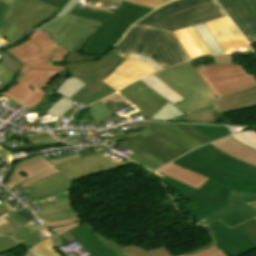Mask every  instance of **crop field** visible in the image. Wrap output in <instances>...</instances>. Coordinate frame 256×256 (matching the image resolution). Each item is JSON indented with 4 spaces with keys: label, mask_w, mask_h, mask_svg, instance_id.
<instances>
[{
    "label": "crop field",
    "mask_w": 256,
    "mask_h": 256,
    "mask_svg": "<svg viewBox=\"0 0 256 256\" xmlns=\"http://www.w3.org/2000/svg\"><path fill=\"white\" fill-rule=\"evenodd\" d=\"M172 163L210 179L195 189L168 176L162 178L193 202L183 207L206 225L215 219L233 227L256 216L246 202L256 200V167L236 160L208 144Z\"/></svg>",
    "instance_id": "obj_1"
},
{
    "label": "crop field",
    "mask_w": 256,
    "mask_h": 256,
    "mask_svg": "<svg viewBox=\"0 0 256 256\" xmlns=\"http://www.w3.org/2000/svg\"><path fill=\"white\" fill-rule=\"evenodd\" d=\"M212 57L215 64L197 67L188 61L155 73L186 99L175 105L186 114L212 107L209 101L213 99L256 87L253 74L233 64L230 54Z\"/></svg>",
    "instance_id": "obj_2"
},
{
    "label": "crop field",
    "mask_w": 256,
    "mask_h": 256,
    "mask_svg": "<svg viewBox=\"0 0 256 256\" xmlns=\"http://www.w3.org/2000/svg\"><path fill=\"white\" fill-rule=\"evenodd\" d=\"M129 163L133 162L125 159L122 163L118 164L100 154L85 157L77 154L50 161L39 155L16 164L4 185L10 189L17 187L22 190L59 171L71 181L88 174Z\"/></svg>",
    "instance_id": "obj_3"
},
{
    "label": "crop field",
    "mask_w": 256,
    "mask_h": 256,
    "mask_svg": "<svg viewBox=\"0 0 256 256\" xmlns=\"http://www.w3.org/2000/svg\"><path fill=\"white\" fill-rule=\"evenodd\" d=\"M115 52L124 59L130 52L151 57L155 54L162 68L190 59L174 32L132 26L115 47Z\"/></svg>",
    "instance_id": "obj_4"
},
{
    "label": "crop field",
    "mask_w": 256,
    "mask_h": 256,
    "mask_svg": "<svg viewBox=\"0 0 256 256\" xmlns=\"http://www.w3.org/2000/svg\"><path fill=\"white\" fill-rule=\"evenodd\" d=\"M222 16L226 14L215 0H177L134 25L171 32Z\"/></svg>",
    "instance_id": "obj_5"
},
{
    "label": "crop field",
    "mask_w": 256,
    "mask_h": 256,
    "mask_svg": "<svg viewBox=\"0 0 256 256\" xmlns=\"http://www.w3.org/2000/svg\"><path fill=\"white\" fill-rule=\"evenodd\" d=\"M152 10L154 9L123 2L114 15L76 7L70 14L102 21L81 50L86 53L102 54L119 41L131 24Z\"/></svg>",
    "instance_id": "obj_6"
},
{
    "label": "crop field",
    "mask_w": 256,
    "mask_h": 256,
    "mask_svg": "<svg viewBox=\"0 0 256 256\" xmlns=\"http://www.w3.org/2000/svg\"><path fill=\"white\" fill-rule=\"evenodd\" d=\"M23 65L37 70L66 71L65 67L52 65L53 60L62 62H78L101 59L100 56L76 54L53 42L49 35L42 31H34L24 43L5 50Z\"/></svg>",
    "instance_id": "obj_7"
},
{
    "label": "crop field",
    "mask_w": 256,
    "mask_h": 256,
    "mask_svg": "<svg viewBox=\"0 0 256 256\" xmlns=\"http://www.w3.org/2000/svg\"><path fill=\"white\" fill-rule=\"evenodd\" d=\"M6 4L2 21L9 26L1 34L11 41L31 30L30 26L49 17L58 8L38 0H0Z\"/></svg>",
    "instance_id": "obj_8"
},
{
    "label": "crop field",
    "mask_w": 256,
    "mask_h": 256,
    "mask_svg": "<svg viewBox=\"0 0 256 256\" xmlns=\"http://www.w3.org/2000/svg\"><path fill=\"white\" fill-rule=\"evenodd\" d=\"M123 60L124 59L119 57L112 48L98 61L66 63L72 75L87 84L72 96L71 99L80 103L108 86L100 80L105 78Z\"/></svg>",
    "instance_id": "obj_9"
},
{
    "label": "crop field",
    "mask_w": 256,
    "mask_h": 256,
    "mask_svg": "<svg viewBox=\"0 0 256 256\" xmlns=\"http://www.w3.org/2000/svg\"><path fill=\"white\" fill-rule=\"evenodd\" d=\"M119 92L142 111V116L146 120L166 121L186 115L140 80L128 85Z\"/></svg>",
    "instance_id": "obj_10"
},
{
    "label": "crop field",
    "mask_w": 256,
    "mask_h": 256,
    "mask_svg": "<svg viewBox=\"0 0 256 256\" xmlns=\"http://www.w3.org/2000/svg\"><path fill=\"white\" fill-rule=\"evenodd\" d=\"M207 227L215 240L233 256H242L256 249V242L239 226L230 229L217 220Z\"/></svg>",
    "instance_id": "obj_11"
},
{
    "label": "crop field",
    "mask_w": 256,
    "mask_h": 256,
    "mask_svg": "<svg viewBox=\"0 0 256 256\" xmlns=\"http://www.w3.org/2000/svg\"><path fill=\"white\" fill-rule=\"evenodd\" d=\"M249 42H256V0H217Z\"/></svg>",
    "instance_id": "obj_12"
},
{
    "label": "crop field",
    "mask_w": 256,
    "mask_h": 256,
    "mask_svg": "<svg viewBox=\"0 0 256 256\" xmlns=\"http://www.w3.org/2000/svg\"><path fill=\"white\" fill-rule=\"evenodd\" d=\"M204 24L224 53L250 49L249 44L228 16L204 22Z\"/></svg>",
    "instance_id": "obj_13"
},
{
    "label": "crop field",
    "mask_w": 256,
    "mask_h": 256,
    "mask_svg": "<svg viewBox=\"0 0 256 256\" xmlns=\"http://www.w3.org/2000/svg\"><path fill=\"white\" fill-rule=\"evenodd\" d=\"M153 68L136 60L127 57L118 67H116L105 79L101 80L107 83L115 90H120L129 83H132L150 73Z\"/></svg>",
    "instance_id": "obj_14"
},
{
    "label": "crop field",
    "mask_w": 256,
    "mask_h": 256,
    "mask_svg": "<svg viewBox=\"0 0 256 256\" xmlns=\"http://www.w3.org/2000/svg\"><path fill=\"white\" fill-rule=\"evenodd\" d=\"M138 136H141L151 146H153L163 154L167 155L172 160L188 152L183 148L177 146L176 144L172 143L171 141L167 140L166 138L155 132L152 128L140 132H133L121 135L123 140Z\"/></svg>",
    "instance_id": "obj_15"
},
{
    "label": "crop field",
    "mask_w": 256,
    "mask_h": 256,
    "mask_svg": "<svg viewBox=\"0 0 256 256\" xmlns=\"http://www.w3.org/2000/svg\"><path fill=\"white\" fill-rule=\"evenodd\" d=\"M221 113L256 106V88L239 92L210 102Z\"/></svg>",
    "instance_id": "obj_16"
},
{
    "label": "crop field",
    "mask_w": 256,
    "mask_h": 256,
    "mask_svg": "<svg viewBox=\"0 0 256 256\" xmlns=\"http://www.w3.org/2000/svg\"><path fill=\"white\" fill-rule=\"evenodd\" d=\"M156 130L161 135L165 136L167 139L178 144L184 149L190 151L200 145H203L195 138L187 134L186 132L179 129L174 124H165V123H146Z\"/></svg>",
    "instance_id": "obj_17"
},
{
    "label": "crop field",
    "mask_w": 256,
    "mask_h": 256,
    "mask_svg": "<svg viewBox=\"0 0 256 256\" xmlns=\"http://www.w3.org/2000/svg\"><path fill=\"white\" fill-rule=\"evenodd\" d=\"M73 181L69 182L61 172L52 175L38 183L31 185L34 188L28 191L35 199L51 195L56 192L71 189Z\"/></svg>",
    "instance_id": "obj_18"
},
{
    "label": "crop field",
    "mask_w": 256,
    "mask_h": 256,
    "mask_svg": "<svg viewBox=\"0 0 256 256\" xmlns=\"http://www.w3.org/2000/svg\"><path fill=\"white\" fill-rule=\"evenodd\" d=\"M220 151L246 163L256 166V150L241 145L231 136L211 143Z\"/></svg>",
    "instance_id": "obj_19"
},
{
    "label": "crop field",
    "mask_w": 256,
    "mask_h": 256,
    "mask_svg": "<svg viewBox=\"0 0 256 256\" xmlns=\"http://www.w3.org/2000/svg\"><path fill=\"white\" fill-rule=\"evenodd\" d=\"M73 21L81 22L85 24H90L99 27L100 23L99 21L78 17L74 15L67 14L66 16L48 24L45 25L39 29H44L49 32L50 36L53 38L54 41L58 42L61 40V38L64 36L70 25Z\"/></svg>",
    "instance_id": "obj_20"
},
{
    "label": "crop field",
    "mask_w": 256,
    "mask_h": 256,
    "mask_svg": "<svg viewBox=\"0 0 256 256\" xmlns=\"http://www.w3.org/2000/svg\"><path fill=\"white\" fill-rule=\"evenodd\" d=\"M6 219L18 231L17 233H15L13 235H9V236L14 238L15 241H17L18 243H20L24 246H27V247H31L32 245H34L35 243L40 241L39 234H42V233L45 234L48 232V230L43 225L35 227V228H33L29 223L26 225L19 226L11 216L6 217Z\"/></svg>",
    "instance_id": "obj_21"
},
{
    "label": "crop field",
    "mask_w": 256,
    "mask_h": 256,
    "mask_svg": "<svg viewBox=\"0 0 256 256\" xmlns=\"http://www.w3.org/2000/svg\"><path fill=\"white\" fill-rule=\"evenodd\" d=\"M181 167V166H180ZM172 163L167 164L163 168L157 170L165 175H168L180 182L198 188L203 183H205L208 178L200 176L196 173L185 170L184 168H180ZM200 188V187H199Z\"/></svg>",
    "instance_id": "obj_22"
},
{
    "label": "crop field",
    "mask_w": 256,
    "mask_h": 256,
    "mask_svg": "<svg viewBox=\"0 0 256 256\" xmlns=\"http://www.w3.org/2000/svg\"><path fill=\"white\" fill-rule=\"evenodd\" d=\"M46 71H36L31 70L27 74H25L23 77H21L19 80L20 83L13 86L9 89L8 93H1L0 95L8 98L12 102H17L19 99H21L23 96H25L28 92L31 90H34L30 88L29 86L35 82L41 75H43Z\"/></svg>",
    "instance_id": "obj_23"
},
{
    "label": "crop field",
    "mask_w": 256,
    "mask_h": 256,
    "mask_svg": "<svg viewBox=\"0 0 256 256\" xmlns=\"http://www.w3.org/2000/svg\"><path fill=\"white\" fill-rule=\"evenodd\" d=\"M46 209L36 213L40 219L45 221H60L77 217L78 215L72 210L69 201L46 206Z\"/></svg>",
    "instance_id": "obj_24"
},
{
    "label": "crop field",
    "mask_w": 256,
    "mask_h": 256,
    "mask_svg": "<svg viewBox=\"0 0 256 256\" xmlns=\"http://www.w3.org/2000/svg\"><path fill=\"white\" fill-rule=\"evenodd\" d=\"M140 80L174 105L185 100L172 89H170L166 84L160 81L154 74Z\"/></svg>",
    "instance_id": "obj_25"
},
{
    "label": "crop field",
    "mask_w": 256,
    "mask_h": 256,
    "mask_svg": "<svg viewBox=\"0 0 256 256\" xmlns=\"http://www.w3.org/2000/svg\"><path fill=\"white\" fill-rule=\"evenodd\" d=\"M60 72L48 71L43 76H41L34 84L30 87L37 88L38 90L22 105V107L30 110L33 108L37 102L43 98L46 93L41 90L52 80L54 79Z\"/></svg>",
    "instance_id": "obj_26"
},
{
    "label": "crop field",
    "mask_w": 256,
    "mask_h": 256,
    "mask_svg": "<svg viewBox=\"0 0 256 256\" xmlns=\"http://www.w3.org/2000/svg\"><path fill=\"white\" fill-rule=\"evenodd\" d=\"M90 27V25L73 22L59 44L73 50Z\"/></svg>",
    "instance_id": "obj_27"
},
{
    "label": "crop field",
    "mask_w": 256,
    "mask_h": 256,
    "mask_svg": "<svg viewBox=\"0 0 256 256\" xmlns=\"http://www.w3.org/2000/svg\"><path fill=\"white\" fill-rule=\"evenodd\" d=\"M101 256H115L86 226L82 224L73 228Z\"/></svg>",
    "instance_id": "obj_28"
},
{
    "label": "crop field",
    "mask_w": 256,
    "mask_h": 256,
    "mask_svg": "<svg viewBox=\"0 0 256 256\" xmlns=\"http://www.w3.org/2000/svg\"><path fill=\"white\" fill-rule=\"evenodd\" d=\"M220 117H222V116L219 113H217L215 110H213L212 108H207V109L199 111V112L188 114L186 116H183L182 118L184 120H186L187 122L217 124L215 119L220 118ZM223 120L225 122H227L228 124H231L225 118H223Z\"/></svg>",
    "instance_id": "obj_29"
},
{
    "label": "crop field",
    "mask_w": 256,
    "mask_h": 256,
    "mask_svg": "<svg viewBox=\"0 0 256 256\" xmlns=\"http://www.w3.org/2000/svg\"><path fill=\"white\" fill-rule=\"evenodd\" d=\"M85 85L86 84L72 76L66 79L64 83L55 91V93L70 98Z\"/></svg>",
    "instance_id": "obj_30"
},
{
    "label": "crop field",
    "mask_w": 256,
    "mask_h": 256,
    "mask_svg": "<svg viewBox=\"0 0 256 256\" xmlns=\"http://www.w3.org/2000/svg\"><path fill=\"white\" fill-rule=\"evenodd\" d=\"M0 55L5 60L0 63H3L5 65V67L8 69V71L12 74L13 77L15 74L20 72V76H19V78H20L25 73H27L29 70H31V69L21 65L22 63L20 64V62H18L16 59H14L12 56H10L9 54H7L6 52H4L2 50H0Z\"/></svg>",
    "instance_id": "obj_31"
},
{
    "label": "crop field",
    "mask_w": 256,
    "mask_h": 256,
    "mask_svg": "<svg viewBox=\"0 0 256 256\" xmlns=\"http://www.w3.org/2000/svg\"><path fill=\"white\" fill-rule=\"evenodd\" d=\"M121 250L125 253L122 256H172L164 247L150 252L135 246L123 247Z\"/></svg>",
    "instance_id": "obj_32"
},
{
    "label": "crop field",
    "mask_w": 256,
    "mask_h": 256,
    "mask_svg": "<svg viewBox=\"0 0 256 256\" xmlns=\"http://www.w3.org/2000/svg\"><path fill=\"white\" fill-rule=\"evenodd\" d=\"M175 34L188 52L191 59L199 56H204L184 29L175 31Z\"/></svg>",
    "instance_id": "obj_33"
},
{
    "label": "crop field",
    "mask_w": 256,
    "mask_h": 256,
    "mask_svg": "<svg viewBox=\"0 0 256 256\" xmlns=\"http://www.w3.org/2000/svg\"><path fill=\"white\" fill-rule=\"evenodd\" d=\"M194 29L197 31V33L200 35L202 40L205 42L207 47L210 49L212 54H218L223 53L220 47L217 45L211 34L208 32L206 27L201 24L193 25Z\"/></svg>",
    "instance_id": "obj_34"
},
{
    "label": "crop field",
    "mask_w": 256,
    "mask_h": 256,
    "mask_svg": "<svg viewBox=\"0 0 256 256\" xmlns=\"http://www.w3.org/2000/svg\"><path fill=\"white\" fill-rule=\"evenodd\" d=\"M193 126L199 129L201 132H203L207 136H209L214 141L230 134L227 127L200 126V125H193Z\"/></svg>",
    "instance_id": "obj_35"
},
{
    "label": "crop field",
    "mask_w": 256,
    "mask_h": 256,
    "mask_svg": "<svg viewBox=\"0 0 256 256\" xmlns=\"http://www.w3.org/2000/svg\"><path fill=\"white\" fill-rule=\"evenodd\" d=\"M74 103L75 102L62 97L51 108H49L46 113L47 114L58 115V116L62 117L67 111H69L73 108V106H71V105L74 104Z\"/></svg>",
    "instance_id": "obj_36"
},
{
    "label": "crop field",
    "mask_w": 256,
    "mask_h": 256,
    "mask_svg": "<svg viewBox=\"0 0 256 256\" xmlns=\"http://www.w3.org/2000/svg\"><path fill=\"white\" fill-rule=\"evenodd\" d=\"M131 142H133L136 146L140 147L141 149L145 150L149 154L155 156L156 158L162 160L166 164L171 161L168 157L151 147L148 143H146L144 140H142L141 137L130 139Z\"/></svg>",
    "instance_id": "obj_37"
},
{
    "label": "crop field",
    "mask_w": 256,
    "mask_h": 256,
    "mask_svg": "<svg viewBox=\"0 0 256 256\" xmlns=\"http://www.w3.org/2000/svg\"><path fill=\"white\" fill-rule=\"evenodd\" d=\"M41 256H60L51 244L50 238L32 246Z\"/></svg>",
    "instance_id": "obj_38"
},
{
    "label": "crop field",
    "mask_w": 256,
    "mask_h": 256,
    "mask_svg": "<svg viewBox=\"0 0 256 256\" xmlns=\"http://www.w3.org/2000/svg\"><path fill=\"white\" fill-rule=\"evenodd\" d=\"M90 110L96 124L101 123L99 120L104 119V117L112 115V112L101 101L90 105Z\"/></svg>",
    "instance_id": "obj_39"
},
{
    "label": "crop field",
    "mask_w": 256,
    "mask_h": 256,
    "mask_svg": "<svg viewBox=\"0 0 256 256\" xmlns=\"http://www.w3.org/2000/svg\"><path fill=\"white\" fill-rule=\"evenodd\" d=\"M240 143L256 149V133L253 131H242L236 135H232Z\"/></svg>",
    "instance_id": "obj_40"
},
{
    "label": "crop field",
    "mask_w": 256,
    "mask_h": 256,
    "mask_svg": "<svg viewBox=\"0 0 256 256\" xmlns=\"http://www.w3.org/2000/svg\"><path fill=\"white\" fill-rule=\"evenodd\" d=\"M102 103L106 105L109 110L114 111L115 108L121 107V106H127L129 103L124 100L121 96L114 94L104 100H102Z\"/></svg>",
    "instance_id": "obj_41"
},
{
    "label": "crop field",
    "mask_w": 256,
    "mask_h": 256,
    "mask_svg": "<svg viewBox=\"0 0 256 256\" xmlns=\"http://www.w3.org/2000/svg\"><path fill=\"white\" fill-rule=\"evenodd\" d=\"M176 125L181 129H183L184 131H186L187 133H189L190 135H192L193 137H195L196 139H198L199 141H201L203 144L213 141L191 125H186V124H176Z\"/></svg>",
    "instance_id": "obj_42"
},
{
    "label": "crop field",
    "mask_w": 256,
    "mask_h": 256,
    "mask_svg": "<svg viewBox=\"0 0 256 256\" xmlns=\"http://www.w3.org/2000/svg\"><path fill=\"white\" fill-rule=\"evenodd\" d=\"M80 218V217H79ZM81 219V218H80ZM83 223H85V221L83 219H81ZM86 224V223H85ZM86 226L97 236L99 237L105 244L106 246L116 255H120V254H123V252L119 249L123 246L119 245V244H116L106 238H104L103 236L99 235L98 233H96L90 226H88L86 224Z\"/></svg>",
    "instance_id": "obj_43"
},
{
    "label": "crop field",
    "mask_w": 256,
    "mask_h": 256,
    "mask_svg": "<svg viewBox=\"0 0 256 256\" xmlns=\"http://www.w3.org/2000/svg\"><path fill=\"white\" fill-rule=\"evenodd\" d=\"M185 30L190 35V37L193 39V41L196 43V45L200 48V50L203 52L204 55L211 54V52L208 50V48L206 47L204 42L201 40V38L198 36V34L192 28V26L185 28Z\"/></svg>",
    "instance_id": "obj_44"
},
{
    "label": "crop field",
    "mask_w": 256,
    "mask_h": 256,
    "mask_svg": "<svg viewBox=\"0 0 256 256\" xmlns=\"http://www.w3.org/2000/svg\"><path fill=\"white\" fill-rule=\"evenodd\" d=\"M119 143H121L122 145H124V146L127 147L128 149H130V150H132V151H134V152H136V153H138V154H140V155H142V156H144V157H146V158H148V159H150V160H152V161H154V162H156V163H158V164H160V165H162V166L166 165V164H164L162 161L156 159L155 157L149 155L148 153L144 152V151L141 150L140 148L136 147V146H135L134 144H132L129 140L122 141V142H119Z\"/></svg>",
    "instance_id": "obj_45"
},
{
    "label": "crop field",
    "mask_w": 256,
    "mask_h": 256,
    "mask_svg": "<svg viewBox=\"0 0 256 256\" xmlns=\"http://www.w3.org/2000/svg\"><path fill=\"white\" fill-rule=\"evenodd\" d=\"M117 91H115L114 89H112L111 87H106L105 89L101 90L100 92H98L97 94H95L94 96L90 97L89 99H87L86 101L82 102V104L88 106L92 103H94L95 101L105 98L113 93H115Z\"/></svg>",
    "instance_id": "obj_46"
},
{
    "label": "crop field",
    "mask_w": 256,
    "mask_h": 256,
    "mask_svg": "<svg viewBox=\"0 0 256 256\" xmlns=\"http://www.w3.org/2000/svg\"><path fill=\"white\" fill-rule=\"evenodd\" d=\"M20 247L14 240L0 235V253L12 251Z\"/></svg>",
    "instance_id": "obj_47"
},
{
    "label": "crop field",
    "mask_w": 256,
    "mask_h": 256,
    "mask_svg": "<svg viewBox=\"0 0 256 256\" xmlns=\"http://www.w3.org/2000/svg\"><path fill=\"white\" fill-rule=\"evenodd\" d=\"M191 256H227V255L222 250H220L216 245H213Z\"/></svg>",
    "instance_id": "obj_48"
},
{
    "label": "crop field",
    "mask_w": 256,
    "mask_h": 256,
    "mask_svg": "<svg viewBox=\"0 0 256 256\" xmlns=\"http://www.w3.org/2000/svg\"><path fill=\"white\" fill-rule=\"evenodd\" d=\"M119 144V143H118ZM121 145V144H120ZM122 146V145H121ZM124 147V146H123ZM127 149V148H126ZM130 151V150H129ZM132 152V151H131ZM134 153V152H133ZM128 158H130V159H132V160H134V161H136V162H138V163H140V164H142V165H144V166H146V167H148V168H150V169H152V170H156V169H158V168H160V167H162V166H160V165H158V164H156V163H154V162H152V161H150V160H148V159H146V158H144V157H142V156H140V155H138V154H136V153H134L132 156H130V157H128Z\"/></svg>",
    "instance_id": "obj_49"
},
{
    "label": "crop field",
    "mask_w": 256,
    "mask_h": 256,
    "mask_svg": "<svg viewBox=\"0 0 256 256\" xmlns=\"http://www.w3.org/2000/svg\"><path fill=\"white\" fill-rule=\"evenodd\" d=\"M125 1L134 3V4H140V5L152 7V8H157L158 6L165 4L167 2H170L172 0H125Z\"/></svg>",
    "instance_id": "obj_50"
},
{
    "label": "crop field",
    "mask_w": 256,
    "mask_h": 256,
    "mask_svg": "<svg viewBox=\"0 0 256 256\" xmlns=\"http://www.w3.org/2000/svg\"><path fill=\"white\" fill-rule=\"evenodd\" d=\"M248 235L256 241V220L250 219L239 225Z\"/></svg>",
    "instance_id": "obj_51"
},
{
    "label": "crop field",
    "mask_w": 256,
    "mask_h": 256,
    "mask_svg": "<svg viewBox=\"0 0 256 256\" xmlns=\"http://www.w3.org/2000/svg\"><path fill=\"white\" fill-rule=\"evenodd\" d=\"M71 236L81 245L83 246L91 256H100L92 247H90L73 229L68 231Z\"/></svg>",
    "instance_id": "obj_52"
},
{
    "label": "crop field",
    "mask_w": 256,
    "mask_h": 256,
    "mask_svg": "<svg viewBox=\"0 0 256 256\" xmlns=\"http://www.w3.org/2000/svg\"><path fill=\"white\" fill-rule=\"evenodd\" d=\"M2 206L6 209V211L8 212V214H10L15 220L16 222L21 225V224H25L26 222L15 212V210L11 211V206L10 204L7 202L6 199H2L0 200Z\"/></svg>",
    "instance_id": "obj_53"
},
{
    "label": "crop field",
    "mask_w": 256,
    "mask_h": 256,
    "mask_svg": "<svg viewBox=\"0 0 256 256\" xmlns=\"http://www.w3.org/2000/svg\"><path fill=\"white\" fill-rule=\"evenodd\" d=\"M11 74L7 71L3 64H0V83L5 86L12 80Z\"/></svg>",
    "instance_id": "obj_54"
},
{
    "label": "crop field",
    "mask_w": 256,
    "mask_h": 256,
    "mask_svg": "<svg viewBox=\"0 0 256 256\" xmlns=\"http://www.w3.org/2000/svg\"><path fill=\"white\" fill-rule=\"evenodd\" d=\"M130 57H133V58H136L138 60H141L147 64H149L150 66H152L154 68V70L158 71L161 68V66L154 60H152L151 58H148V57H143V56H139V55H136V54H132L130 53L129 55Z\"/></svg>",
    "instance_id": "obj_55"
},
{
    "label": "crop field",
    "mask_w": 256,
    "mask_h": 256,
    "mask_svg": "<svg viewBox=\"0 0 256 256\" xmlns=\"http://www.w3.org/2000/svg\"><path fill=\"white\" fill-rule=\"evenodd\" d=\"M42 1H45V2H47V3H50V4L54 5V6L59 7V9H58L52 16H50L49 18L55 17L56 14H57V13L65 6V4L68 2V0H42ZM49 18H48V19H49ZM46 20H47V19H46ZM44 21H45V20H44ZM44 21H42V22H44ZM42 22H40V23H38V24H36V25H34V26H32V27L34 28V27L40 25Z\"/></svg>",
    "instance_id": "obj_56"
},
{
    "label": "crop field",
    "mask_w": 256,
    "mask_h": 256,
    "mask_svg": "<svg viewBox=\"0 0 256 256\" xmlns=\"http://www.w3.org/2000/svg\"><path fill=\"white\" fill-rule=\"evenodd\" d=\"M80 221V219L77 217L75 219H71V220H66V221H60V222H43L45 225H47L48 227H60L66 224H70V223H74V222H78Z\"/></svg>",
    "instance_id": "obj_57"
},
{
    "label": "crop field",
    "mask_w": 256,
    "mask_h": 256,
    "mask_svg": "<svg viewBox=\"0 0 256 256\" xmlns=\"http://www.w3.org/2000/svg\"><path fill=\"white\" fill-rule=\"evenodd\" d=\"M96 29L97 27L92 26L91 29L88 31V33L84 36V38L80 41V43L74 49V51L79 52L83 47V45L86 43V41L89 39V37L95 32Z\"/></svg>",
    "instance_id": "obj_58"
},
{
    "label": "crop field",
    "mask_w": 256,
    "mask_h": 256,
    "mask_svg": "<svg viewBox=\"0 0 256 256\" xmlns=\"http://www.w3.org/2000/svg\"><path fill=\"white\" fill-rule=\"evenodd\" d=\"M16 232V230L12 227V225L10 223L0 227V233L1 234H5V235H9Z\"/></svg>",
    "instance_id": "obj_59"
},
{
    "label": "crop field",
    "mask_w": 256,
    "mask_h": 256,
    "mask_svg": "<svg viewBox=\"0 0 256 256\" xmlns=\"http://www.w3.org/2000/svg\"><path fill=\"white\" fill-rule=\"evenodd\" d=\"M4 10H5V5H3V4L0 3V34H1V33L4 31V29L7 27V25L1 21L2 16H3V13H4ZM1 37H2V36L0 35V38H1Z\"/></svg>",
    "instance_id": "obj_60"
},
{
    "label": "crop field",
    "mask_w": 256,
    "mask_h": 256,
    "mask_svg": "<svg viewBox=\"0 0 256 256\" xmlns=\"http://www.w3.org/2000/svg\"><path fill=\"white\" fill-rule=\"evenodd\" d=\"M87 9H92V10H96V11H101V12H106V13H111V14H114L116 9L115 8H109L108 10L109 11H106V9L104 8H99V7H95V6H90V5H87L86 7Z\"/></svg>",
    "instance_id": "obj_61"
},
{
    "label": "crop field",
    "mask_w": 256,
    "mask_h": 256,
    "mask_svg": "<svg viewBox=\"0 0 256 256\" xmlns=\"http://www.w3.org/2000/svg\"><path fill=\"white\" fill-rule=\"evenodd\" d=\"M75 1L76 0H69V2L66 4V6L57 14V16L55 18H57L58 16H60L61 14H63L67 10H69L71 8V6L75 3ZM55 18H52L51 20H53Z\"/></svg>",
    "instance_id": "obj_62"
},
{
    "label": "crop field",
    "mask_w": 256,
    "mask_h": 256,
    "mask_svg": "<svg viewBox=\"0 0 256 256\" xmlns=\"http://www.w3.org/2000/svg\"><path fill=\"white\" fill-rule=\"evenodd\" d=\"M6 216H9V215L7 213H4V214L0 215V226L8 223V221L4 218Z\"/></svg>",
    "instance_id": "obj_63"
},
{
    "label": "crop field",
    "mask_w": 256,
    "mask_h": 256,
    "mask_svg": "<svg viewBox=\"0 0 256 256\" xmlns=\"http://www.w3.org/2000/svg\"><path fill=\"white\" fill-rule=\"evenodd\" d=\"M99 2H94V1H88V4H93V5H97ZM102 4L101 6L102 7H105V8H109L111 7L112 5H108V4H103V3H100Z\"/></svg>",
    "instance_id": "obj_64"
},
{
    "label": "crop field",
    "mask_w": 256,
    "mask_h": 256,
    "mask_svg": "<svg viewBox=\"0 0 256 256\" xmlns=\"http://www.w3.org/2000/svg\"><path fill=\"white\" fill-rule=\"evenodd\" d=\"M94 1H99V2H104V3H108V4H113L116 6H120V3H116V2H112V1H108V0H94Z\"/></svg>",
    "instance_id": "obj_65"
},
{
    "label": "crop field",
    "mask_w": 256,
    "mask_h": 256,
    "mask_svg": "<svg viewBox=\"0 0 256 256\" xmlns=\"http://www.w3.org/2000/svg\"><path fill=\"white\" fill-rule=\"evenodd\" d=\"M28 251L31 252L35 256H40L32 247Z\"/></svg>",
    "instance_id": "obj_66"
},
{
    "label": "crop field",
    "mask_w": 256,
    "mask_h": 256,
    "mask_svg": "<svg viewBox=\"0 0 256 256\" xmlns=\"http://www.w3.org/2000/svg\"><path fill=\"white\" fill-rule=\"evenodd\" d=\"M174 120H175V122H185V121H184L183 119H181L180 117L175 118ZM169 121H172V120H169Z\"/></svg>",
    "instance_id": "obj_67"
},
{
    "label": "crop field",
    "mask_w": 256,
    "mask_h": 256,
    "mask_svg": "<svg viewBox=\"0 0 256 256\" xmlns=\"http://www.w3.org/2000/svg\"><path fill=\"white\" fill-rule=\"evenodd\" d=\"M249 204H250L251 206H253L254 208H256V201L249 202ZM254 218L256 219V217H254Z\"/></svg>",
    "instance_id": "obj_68"
},
{
    "label": "crop field",
    "mask_w": 256,
    "mask_h": 256,
    "mask_svg": "<svg viewBox=\"0 0 256 256\" xmlns=\"http://www.w3.org/2000/svg\"><path fill=\"white\" fill-rule=\"evenodd\" d=\"M6 212L3 207L0 208V214Z\"/></svg>",
    "instance_id": "obj_69"
},
{
    "label": "crop field",
    "mask_w": 256,
    "mask_h": 256,
    "mask_svg": "<svg viewBox=\"0 0 256 256\" xmlns=\"http://www.w3.org/2000/svg\"><path fill=\"white\" fill-rule=\"evenodd\" d=\"M213 243H214V242H213ZM213 243H212V244H213ZM212 244H211V245H212ZM209 246H210V245H209ZM207 247H208V246H207ZM205 248H206V247H205ZM200 250H201V249H200ZM197 251H198V250H197ZM194 252H196V251H194ZM194 252H191V253H188V254H184V256H185V255L192 254V253H194Z\"/></svg>",
    "instance_id": "obj_70"
},
{
    "label": "crop field",
    "mask_w": 256,
    "mask_h": 256,
    "mask_svg": "<svg viewBox=\"0 0 256 256\" xmlns=\"http://www.w3.org/2000/svg\"><path fill=\"white\" fill-rule=\"evenodd\" d=\"M112 1H116V2L122 3L124 0H112Z\"/></svg>",
    "instance_id": "obj_71"
},
{
    "label": "crop field",
    "mask_w": 256,
    "mask_h": 256,
    "mask_svg": "<svg viewBox=\"0 0 256 256\" xmlns=\"http://www.w3.org/2000/svg\"><path fill=\"white\" fill-rule=\"evenodd\" d=\"M25 255H26V254H25ZM26 256H33V255H32L31 253H29V252H28Z\"/></svg>",
    "instance_id": "obj_72"
},
{
    "label": "crop field",
    "mask_w": 256,
    "mask_h": 256,
    "mask_svg": "<svg viewBox=\"0 0 256 256\" xmlns=\"http://www.w3.org/2000/svg\"><path fill=\"white\" fill-rule=\"evenodd\" d=\"M4 256H14V255L8 254V255H4Z\"/></svg>",
    "instance_id": "obj_73"
},
{
    "label": "crop field",
    "mask_w": 256,
    "mask_h": 256,
    "mask_svg": "<svg viewBox=\"0 0 256 256\" xmlns=\"http://www.w3.org/2000/svg\"><path fill=\"white\" fill-rule=\"evenodd\" d=\"M181 256H183V255H181Z\"/></svg>",
    "instance_id": "obj_74"
}]
</instances>
